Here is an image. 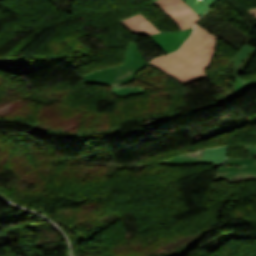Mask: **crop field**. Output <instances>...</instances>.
Here are the masks:
<instances>
[{"label": "crop field", "mask_w": 256, "mask_h": 256, "mask_svg": "<svg viewBox=\"0 0 256 256\" xmlns=\"http://www.w3.org/2000/svg\"><path fill=\"white\" fill-rule=\"evenodd\" d=\"M211 32L198 25L192 36L176 52L154 58L149 64L157 67L183 85L204 79L216 48Z\"/></svg>", "instance_id": "1"}, {"label": "crop field", "mask_w": 256, "mask_h": 256, "mask_svg": "<svg viewBox=\"0 0 256 256\" xmlns=\"http://www.w3.org/2000/svg\"><path fill=\"white\" fill-rule=\"evenodd\" d=\"M147 64L135 43L126 48L125 63L120 66L95 71L83 75L85 83L102 85H119L133 79L136 72Z\"/></svg>", "instance_id": "2"}, {"label": "crop field", "mask_w": 256, "mask_h": 256, "mask_svg": "<svg viewBox=\"0 0 256 256\" xmlns=\"http://www.w3.org/2000/svg\"><path fill=\"white\" fill-rule=\"evenodd\" d=\"M153 4L162 10L180 30L193 27L200 17L182 0H157Z\"/></svg>", "instance_id": "3"}, {"label": "crop field", "mask_w": 256, "mask_h": 256, "mask_svg": "<svg viewBox=\"0 0 256 256\" xmlns=\"http://www.w3.org/2000/svg\"><path fill=\"white\" fill-rule=\"evenodd\" d=\"M191 29L175 33H159L149 36L153 42L164 52L170 53L180 47L183 41L190 35Z\"/></svg>", "instance_id": "4"}, {"label": "crop field", "mask_w": 256, "mask_h": 256, "mask_svg": "<svg viewBox=\"0 0 256 256\" xmlns=\"http://www.w3.org/2000/svg\"><path fill=\"white\" fill-rule=\"evenodd\" d=\"M120 23L132 32L139 35H151L160 32L141 13L126 18L120 21Z\"/></svg>", "instance_id": "5"}, {"label": "crop field", "mask_w": 256, "mask_h": 256, "mask_svg": "<svg viewBox=\"0 0 256 256\" xmlns=\"http://www.w3.org/2000/svg\"><path fill=\"white\" fill-rule=\"evenodd\" d=\"M234 177L236 179L243 177L244 180L255 179L256 170L240 169L239 166H223L218 169L217 174L213 180L228 179L231 181Z\"/></svg>", "instance_id": "6"}, {"label": "crop field", "mask_w": 256, "mask_h": 256, "mask_svg": "<svg viewBox=\"0 0 256 256\" xmlns=\"http://www.w3.org/2000/svg\"><path fill=\"white\" fill-rule=\"evenodd\" d=\"M256 52V48L243 45L242 48L237 52V54L233 57L232 61L234 62L232 66V70L234 74L243 73L245 70L249 59Z\"/></svg>", "instance_id": "7"}, {"label": "crop field", "mask_w": 256, "mask_h": 256, "mask_svg": "<svg viewBox=\"0 0 256 256\" xmlns=\"http://www.w3.org/2000/svg\"><path fill=\"white\" fill-rule=\"evenodd\" d=\"M227 153V146L215 149H206L204 151L201 164L222 162L224 158L227 156Z\"/></svg>", "instance_id": "8"}, {"label": "crop field", "mask_w": 256, "mask_h": 256, "mask_svg": "<svg viewBox=\"0 0 256 256\" xmlns=\"http://www.w3.org/2000/svg\"><path fill=\"white\" fill-rule=\"evenodd\" d=\"M234 77H235V82H236L234 91L232 93H230L229 95H226L221 98H217L216 99L217 102L228 99L232 96L240 95V94L244 93L245 91H247L252 86L256 85V81H244L239 77V75H234Z\"/></svg>", "instance_id": "9"}, {"label": "crop field", "mask_w": 256, "mask_h": 256, "mask_svg": "<svg viewBox=\"0 0 256 256\" xmlns=\"http://www.w3.org/2000/svg\"><path fill=\"white\" fill-rule=\"evenodd\" d=\"M183 1L201 16L217 0H203L209 7H207L204 4V2H202L201 0H183Z\"/></svg>", "instance_id": "10"}, {"label": "crop field", "mask_w": 256, "mask_h": 256, "mask_svg": "<svg viewBox=\"0 0 256 256\" xmlns=\"http://www.w3.org/2000/svg\"><path fill=\"white\" fill-rule=\"evenodd\" d=\"M144 88H139V87H112L111 93L118 95L120 97H127L128 95L132 94H141L145 93Z\"/></svg>", "instance_id": "11"}, {"label": "crop field", "mask_w": 256, "mask_h": 256, "mask_svg": "<svg viewBox=\"0 0 256 256\" xmlns=\"http://www.w3.org/2000/svg\"><path fill=\"white\" fill-rule=\"evenodd\" d=\"M224 162L226 165H239L241 168L256 169V160L227 158Z\"/></svg>", "instance_id": "12"}, {"label": "crop field", "mask_w": 256, "mask_h": 256, "mask_svg": "<svg viewBox=\"0 0 256 256\" xmlns=\"http://www.w3.org/2000/svg\"><path fill=\"white\" fill-rule=\"evenodd\" d=\"M244 150H248V155L249 154H256V146H252V147L245 146Z\"/></svg>", "instance_id": "13"}, {"label": "crop field", "mask_w": 256, "mask_h": 256, "mask_svg": "<svg viewBox=\"0 0 256 256\" xmlns=\"http://www.w3.org/2000/svg\"><path fill=\"white\" fill-rule=\"evenodd\" d=\"M249 12L256 18V8L249 10Z\"/></svg>", "instance_id": "14"}]
</instances>
